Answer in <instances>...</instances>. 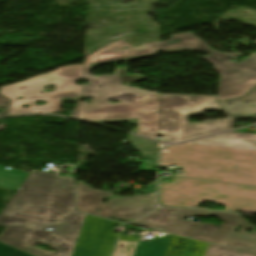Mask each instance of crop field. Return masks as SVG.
<instances>
[{"label": "crop field", "instance_id": "1", "mask_svg": "<svg viewBox=\"0 0 256 256\" xmlns=\"http://www.w3.org/2000/svg\"><path fill=\"white\" fill-rule=\"evenodd\" d=\"M73 201L71 179L32 170L0 213L6 227L0 242L33 256H72L86 217L72 210ZM35 242L58 251L46 252Z\"/></svg>", "mask_w": 256, "mask_h": 256}, {"label": "crop field", "instance_id": "2", "mask_svg": "<svg viewBox=\"0 0 256 256\" xmlns=\"http://www.w3.org/2000/svg\"><path fill=\"white\" fill-rule=\"evenodd\" d=\"M127 46L126 50L123 47ZM159 42L133 48L123 39L85 57L82 97H91L81 106L80 119L96 123L132 122L138 126L132 133L156 139L158 135V92L129 87L144 77L127 75V68H115L114 75L92 76L94 66L102 63L133 60L156 54ZM125 83L126 85H122ZM103 87H99V86ZM115 99L119 103H109Z\"/></svg>", "mask_w": 256, "mask_h": 256}, {"label": "crop field", "instance_id": "3", "mask_svg": "<svg viewBox=\"0 0 256 256\" xmlns=\"http://www.w3.org/2000/svg\"><path fill=\"white\" fill-rule=\"evenodd\" d=\"M183 168L181 177L256 186V152L197 144L162 150L160 165Z\"/></svg>", "mask_w": 256, "mask_h": 256}, {"label": "crop field", "instance_id": "4", "mask_svg": "<svg viewBox=\"0 0 256 256\" xmlns=\"http://www.w3.org/2000/svg\"><path fill=\"white\" fill-rule=\"evenodd\" d=\"M80 79H83V64L65 66L51 73L2 87L0 94L12 100L8 116L58 112L60 101L81 99L82 85H74V82ZM49 84L56 85L55 92L45 93L43 85ZM20 96H23V99L17 100V97ZM35 101H47V104L36 106L34 105ZM26 104H30V107L22 108V105Z\"/></svg>", "mask_w": 256, "mask_h": 256}, {"label": "crop field", "instance_id": "5", "mask_svg": "<svg viewBox=\"0 0 256 256\" xmlns=\"http://www.w3.org/2000/svg\"><path fill=\"white\" fill-rule=\"evenodd\" d=\"M201 201L222 203L227 212L256 213V188L186 178L160 183V205L192 208Z\"/></svg>", "mask_w": 256, "mask_h": 256}, {"label": "crop field", "instance_id": "6", "mask_svg": "<svg viewBox=\"0 0 256 256\" xmlns=\"http://www.w3.org/2000/svg\"><path fill=\"white\" fill-rule=\"evenodd\" d=\"M160 50L173 53L181 51H205L201 57L214 64L220 74L218 101L244 97L256 86V57L251 56L237 64L228 61L229 55L211 50L205 41L191 32L173 35L169 41L160 42Z\"/></svg>", "mask_w": 256, "mask_h": 256}, {"label": "crop field", "instance_id": "7", "mask_svg": "<svg viewBox=\"0 0 256 256\" xmlns=\"http://www.w3.org/2000/svg\"><path fill=\"white\" fill-rule=\"evenodd\" d=\"M112 194L111 192L93 190L89 185L78 181L76 210L105 218L112 216L113 218L136 219L154 210L156 206L155 194L112 198L106 204L102 203V198L111 197Z\"/></svg>", "mask_w": 256, "mask_h": 256}, {"label": "crop field", "instance_id": "8", "mask_svg": "<svg viewBox=\"0 0 256 256\" xmlns=\"http://www.w3.org/2000/svg\"><path fill=\"white\" fill-rule=\"evenodd\" d=\"M205 111H221L216 96L159 94V134L164 142H180L182 123H189L190 115Z\"/></svg>", "mask_w": 256, "mask_h": 256}, {"label": "crop field", "instance_id": "9", "mask_svg": "<svg viewBox=\"0 0 256 256\" xmlns=\"http://www.w3.org/2000/svg\"><path fill=\"white\" fill-rule=\"evenodd\" d=\"M209 216L217 217L226 223L219 226L203 223L191 238L256 253V232L253 231L254 227L240 215L211 212ZM238 226L242 228L239 233H236L234 231ZM246 229L252 230V233L246 232Z\"/></svg>", "mask_w": 256, "mask_h": 256}, {"label": "crop field", "instance_id": "10", "mask_svg": "<svg viewBox=\"0 0 256 256\" xmlns=\"http://www.w3.org/2000/svg\"><path fill=\"white\" fill-rule=\"evenodd\" d=\"M210 212L159 207L132 224L190 237L200 223L182 220L186 216H208Z\"/></svg>", "mask_w": 256, "mask_h": 256}, {"label": "crop field", "instance_id": "11", "mask_svg": "<svg viewBox=\"0 0 256 256\" xmlns=\"http://www.w3.org/2000/svg\"><path fill=\"white\" fill-rule=\"evenodd\" d=\"M167 239L151 242L119 240L113 256H162ZM202 256H256V254L207 243Z\"/></svg>", "mask_w": 256, "mask_h": 256}, {"label": "crop field", "instance_id": "12", "mask_svg": "<svg viewBox=\"0 0 256 256\" xmlns=\"http://www.w3.org/2000/svg\"><path fill=\"white\" fill-rule=\"evenodd\" d=\"M190 143L246 149L256 151V134L228 132Z\"/></svg>", "mask_w": 256, "mask_h": 256}, {"label": "crop field", "instance_id": "13", "mask_svg": "<svg viewBox=\"0 0 256 256\" xmlns=\"http://www.w3.org/2000/svg\"><path fill=\"white\" fill-rule=\"evenodd\" d=\"M219 104L228 118L256 119V87L244 98L221 101Z\"/></svg>", "mask_w": 256, "mask_h": 256}, {"label": "crop field", "instance_id": "14", "mask_svg": "<svg viewBox=\"0 0 256 256\" xmlns=\"http://www.w3.org/2000/svg\"><path fill=\"white\" fill-rule=\"evenodd\" d=\"M234 123V119H221L183 124L181 142L232 129L234 127Z\"/></svg>", "mask_w": 256, "mask_h": 256}, {"label": "crop field", "instance_id": "15", "mask_svg": "<svg viewBox=\"0 0 256 256\" xmlns=\"http://www.w3.org/2000/svg\"><path fill=\"white\" fill-rule=\"evenodd\" d=\"M5 166L0 165V186L17 191L27 173H23L17 170L4 169Z\"/></svg>", "mask_w": 256, "mask_h": 256}, {"label": "crop field", "instance_id": "16", "mask_svg": "<svg viewBox=\"0 0 256 256\" xmlns=\"http://www.w3.org/2000/svg\"><path fill=\"white\" fill-rule=\"evenodd\" d=\"M130 144L140 151L143 156H152V160H157V143L130 136Z\"/></svg>", "mask_w": 256, "mask_h": 256}, {"label": "crop field", "instance_id": "17", "mask_svg": "<svg viewBox=\"0 0 256 256\" xmlns=\"http://www.w3.org/2000/svg\"><path fill=\"white\" fill-rule=\"evenodd\" d=\"M0 256H31V255L0 243Z\"/></svg>", "mask_w": 256, "mask_h": 256}, {"label": "crop field", "instance_id": "18", "mask_svg": "<svg viewBox=\"0 0 256 256\" xmlns=\"http://www.w3.org/2000/svg\"><path fill=\"white\" fill-rule=\"evenodd\" d=\"M11 100L0 95V107H6V111L1 112L0 116H7Z\"/></svg>", "mask_w": 256, "mask_h": 256}, {"label": "crop field", "instance_id": "19", "mask_svg": "<svg viewBox=\"0 0 256 256\" xmlns=\"http://www.w3.org/2000/svg\"><path fill=\"white\" fill-rule=\"evenodd\" d=\"M156 164L157 162H143L140 170H151V168L155 167Z\"/></svg>", "mask_w": 256, "mask_h": 256}, {"label": "crop field", "instance_id": "20", "mask_svg": "<svg viewBox=\"0 0 256 256\" xmlns=\"http://www.w3.org/2000/svg\"><path fill=\"white\" fill-rule=\"evenodd\" d=\"M80 106H81V102H79V104L77 105V107L75 108V110L73 111L70 117L79 119Z\"/></svg>", "mask_w": 256, "mask_h": 256}, {"label": "crop field", "instance_id": "21", "mask_svg": "<svg viewBox=\"0 0 256 256\" xmlns=\"http://www.w3.org/2000/svg\"><path fill=\"white\" fill-rule=\"evenodd\" d=\"M147 191L156 192V182L149 184L147 187Z\"/></svg>", "mask_w": 256, "mask_h": 256}, {"label": "crop field", "instance_id": "22", "mask_svg": "<svg viewBox=\"0 0 256 256\" xmlns=\"http://www.w3.org/2000/svg\"><path fill=\"white\" fill-rule=\"evenodd\" d=\"M6 125H0V130L5 128Z\"/></svg>", "mask_w": 256, "mask_h": 256}, {"label": "crop field", "instance_id": "23", "mask_svg": "<svg viewBox=\"0 0 256 256\" xmlns=\"http://www.w3.org/2000/svg\"><path fill=\"white\" fill-rule=\"evenodd\" d=\"M255 45H256V43H255ZM253 55H256V53H254Z\"/></svg>", "mask_w": 256, "mask_h": 256}, {"label": "crop field", "instance_id": "24", "mask_svg": "<svg viewBox=\"0 0 256 256\" xmlns=\"http://www.w3.org/2000/svg\"><path fill=\"white\" fill-rule=\"evenodd\" d=\"M256 133V132H255Z\"/></svg>", "mask_w": 256, "mask_h": 256}]
</instances>
